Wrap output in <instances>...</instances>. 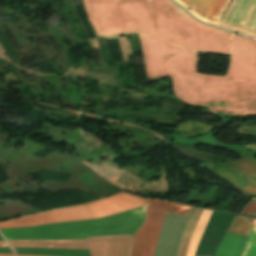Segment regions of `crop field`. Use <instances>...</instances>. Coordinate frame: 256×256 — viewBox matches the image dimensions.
<instances>
[{"mask_svg":"<svg viewBox=\"0 0 256 256\" xmlns=\"http://www.w3.org/2000/svg\"><path fill=\"white\" fill-rule=\"evenodd\" d=\"M0 256H15V255H0Z\"/></svg>","mask_w":256,"mask_h":256,"instance_id":"14","label":"crop field"},{"mask_svg":"<svg viewBox=\"0 0 256 256\" xmlns=\"http://www.w3.org/2000/svg\"><path fill=\"white\" fill-rule=\"evenodd\" d=\"M256 222V220H254ZM253 223L249 239L242 256H256V223Z\"/></svg>","mask_w":256,"mask_h":256,"instance_id":"11","label":"crop field"},{"mask_svg":"<svg viewBox=\"0 0 256 256\" xmlns=\"http://www.w3.org/2000/svg\"><path fill=\"white\" fill-rule=\"evenodd\" d=\"M133 236L89 238L91 256H129Z\"/></svg>","mask_w":256,"mask_h":256,"instance_id":"6","label":"crop field"},{"mask_svg":"<svg viewBox=\"0 0 256 256\" xmlns=\"http://www.w3.org/2000/svg\"><path fill=\"white\" fill-rule=\"evenodd\" d=\"M192 207L149 200L146 221L137 231L131 256H153L164 212L188 217ZM165 213L157 250L154 256H176L188 218Z\"/></svg>","mask_w":256,"mask_h":256,"instance_id":"2","label":"crop field"},{"mask_svg":"<svg viewBox=\"0 0 256 256\" xmlns=\"http://www.w3.org/2000/svg\"><path fill=\"white\" fill-rule=\"evenodd\" d=\"M0 247H8L5 241H0Z\"/></svg>","mask_w":256,"mask_h":256,"instance_id":"13","label":"crop field"},{"mask_svg":"<svg viewBox=\"0 0 256 256\" xmlns=\"http://www.w3.org/2000/svg\"><path fill=\"white\" fill-rule=\"evenodd\" d=\"M0 240H3V238L0 236Z\"/></svg>","mask_w":256,"mask_h":256,"instance_id":"15","label":"crop field"},{"mask_svg":"<svg viewBox=\"0 0 256 256\" xmlns=\"http://www.w3.org/2000/svg\"><path fill=\"white\" fill-rule=\"evenodd\" d=\"M212 212L213 211H211V210L203 209V211H202V213L199 217V221H198V224L196 226V229H195V231L193 233V236L191 238L186 256H194L199 238H200V236H201V234H202V232H203V230H204Z\"/></svg>","mask_w":256,"mask_h":256,"instance_id":"9","label":"crop field"},{"mask_svg":"<svg viewBox=\"0 0 256 256\" xmlns=\"http://www.w3.org/2000/svg\"><path fill=\"white\" fill-rule=\"evenodd\" d=\"M201 211H202V209L193 208L190 218H189V221L187 223L186 229L184 231L181 247H180V250H179L177 256H185L190 238H191L194 228L197 224L198 217H199Z\"/></svg>","mask_w":256,"mask_h":256,"instance_id":"10","label":"crop field"},{"mask_svg":"<svg viewBox=\"0 0 256 256\" xmlns=\"http://www.w3.org/2000/svg\"><path fill=\"white\" fill-rule=\"evenodd\" d=\"M146 204V199L137 198L128 193H120L104 200L89 203L93 218L104 217L133 209Z\"/></svg>","mask_w":256,"mask_h":256,"instance_id":"5","label":"crop field"},{"mask_svg":"<svg viewBox=\"0 0 256 256\" xmlns=\"http://www.w3.org/2000/svg\"><path fill=\"white\" fill-rule=\"evenodd\" d=\"M17 254L50 256H90L89 250H67L47 248H13Z\"/></svg>","mask_w":256,"mask_h":256,"instance_id":"8","label":"crop field"},{"mask_svg":"<svg viewBox=\"0 0 256 256\" xmlns=\"http://www.w3.org/2000/svg\"><path fill=\"white\" fill-rule=\"evenodd\" d=\"M253 220L254 219L235 216L227 232L248 236ZM229 233H226L224 236L215 256L241 255L248 237Z\"/></svg>","mask_w":256,"mask_h":256,"instance_id":"4","label":"crop field"},{"mask_svg":"<svg viewBox=\"0 0 256 256\" xmlns=\"http://www.w3.org/2000/svg\"><path fill=\"white\" fill-rule=\"evenodd\" d=\"M0 253L13 254L10 248H0Z\"/></svg>","mask_w":256,"mask_h":256,"instance_id":"12","label":"crop field"},{"mask_svg":"<svg viewBox=\"0 0 256 256\" xmlns=\"http://www.w3.org/2000/svg\"><path fill=\"white\" fill-rule=\"evenodd\" d=\"M145 206L113 216L32 228L0 230L6 240L88 239L94 236L134 234L144 223Z\"/></svg>","mask_w":256,"mask_h":256,"instance_id":"1","label":"crop field"},{"mask_svg":"<svg viewBox=\"0 0 256 256\" xmlns=\"http://www.w3.org/2000/svg\"><path fill=\"white\" fill-rule=\"evenodd\" d=\"M19 256H27V255H19Z\"/></svg>","mask_w":256,"mask_h":256,"instance_id":"16","label":"crop field"},{"mask_svg":"<svg viewBox=\"0 0 256 256\" xmlns=\"http://www.w3.org/2000/svg\"><path fill=\"white\" fill-rule=\"evenodd\" d=\"M93 219L87 204L49 211L0 223V229L32 227L44 224Z\"/></svg>","mask_w":256,"mask_h":256,"instance_id":"3","label":"crop field"},{"mask_svg":"<svg viewBox=\"0 0 256 256\" xmlns=\"http://www.w3.org/2000/svg\"><path fill=\"white\" fill-rule=\"evenodd\" d=\"M8 242L11 247L89 249L88 240H22Z\"/></svg>","mask_w":256,"mask_h":256,"instance_id":"7","label":"crop field"}]
</instances>
